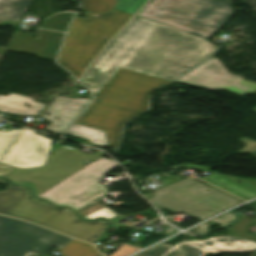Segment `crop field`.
<instances>
[{
	"mask_svg": "<svg viewBox=\"0 0 256 256\" xmlns=\"http://www.w3.org/2000/svg\"><path fill=\"white\" fill-rule=\"evenodd\" d=\"M66 134L88 139L92 144L107 146L104 131L74 123Z\"/></svg>",
	"mask_w": 256,
	"mask_h": 256,
	"instance_id": "18",
	"label": "crop field"
},
{
	"mask_svg": "<svg viewBox=\"0 0 256 256\" xmlns=\"http://www.w3.org/2000/svg\"><path fill=\"white\" fill-rule=\"evenodd\" d=\"M217 46L181 30L135 16L80 81L95 96L122 67L174 80L208 58Z\"/></svg>",
	"mask_w": 256,
	"mask_h": 256,
	"instance_id": "1",
	"label": "crop field"
},
{
	"mask_svg": "<svg viewBox=\"0 0 256 256\" xmlns=\"http://www.w3.org/2000/svg\"><path fill=\"white\" fill-rule=\"evenodd\" d=\"M34 133L23 128L0 131V162L20 169L44 166L53 141Z\"/></svg>",
	"mask_w": 256,
	"mask_h": 256,
	"instance_id": "10",
	"label": "crop field"
},
{
	"mask_svg": "<svg viewBox=\"0 0 256 256\" xmlns=\"http://www.w3.org/2000/svg\"><path fill=\"white\" fill-rule=\"evenodd\" d=\"M76 211L80 213L82 219L89 220H92L96 217H104L106 219H110L117 214L95 200Z\"/></svg>",
	"mask_w": 256,
	"mask_h": 256,
	"instance_id": "19",
	"label": "crop field"
},
{
	"mask_svg": "<svg viewBox=\"0 0 256 256\" xmlns=\"http://www.w3.org/2000/svg\"><path fill=\"white\" fill-rule=\"evenodd\" d=\"M71 238L49 230L0 216V249L14 256L27 252L45 255L55 245L61 248Z\"/></svg>",
	"mask_w": 256,
	"mask_h": 256,
	"instance_id": "9",
	"label": "crop field"
},
{
	"mask_svg": "<svg viewBox=\"0 0 256 256\" xmlns=\"http://www.w3.org/2000/svg\"><path fill=\"white\" fill-rule=\"evenodd\" d=\"M90 100L56 96L40 116L51 122L46 130L61 134ZM46 113H50V115H46ZM54 117L59 118L54 119Z\"/></svg>",
	"mask_w": 256,
	"mask_h": 256,
	"instance_id": "14",
	"label": "crop field"
},
{
	"mask_svg": "<svg viewBox=\"0 0 256 256\" xmlns=\"http://www.w3.org/2000/svg\"><path fill=\"white\" fill-rule=\"evenodd\" d=\"M252 94H256V90H255ZM250 111H252V112L256 113V107H255V108H253V109H251Z\"/></svg>",
	"mask_w": 256,
	"mask_h": 256,
	"instance_id": "31",
	"label": "crop field"
},
{
	"mask_svg": "<svg viewBox=\"0 0 256 256\" xmlns=\"http://www.w3.org/2000/svg\"><path fill=\"white\" fill-rule=\"evenodd\" d=\"M27 103L30 107L25 106ZM44 104L34 102L32 98L9 93L7 97L0 96V111L19 116H27L28 114L37 116L44 108ZM37 110H40L37 112Z\"/></svg>",
	"mask_w": 256,
	"mask_h": 256,
	"instance_id": "16",
	"label": "crop field"
},
{
	"mask_svg": "<svg viewBox=\"0 0 256 256\" xmlns=\"http://www.w3.org/2000/svg\"><path fill=\"white\" fill-rule=\"evenodd\" d=\"M102 153L99 151L95 155H88L78 151V149L63 146L49 156L44 167L26 170L16 168L5 177L10 179L13 184L32 188V194L37 196L84 167L81 164L82 161L86 159L95 160Z\"/></svg>",
	"mask_w": 256,
	"mask_h": 256,
	"instance_id": "7",
	"label": "crop field"
},
{
	"mask_svg": "<svg viewBox=\"0 0 256 256\" xmlns=\"http://www.w3.org/2000/svg\"><path fill=\"white\" fill-rule=\"evenodd\" d=\"M169 82L120 68L76 122L105 130L109 146H116L123 123L146 110L150 94Z\"/></svg>",
	"mask_w": 256,
	"mask_h": 256,
	"instance_id": "2",
	"label": "crop field"
},
{
	"mask_svg": "<svg viewBox=\"0 0 256 256\" xmlns=\"http://www.w3.org/2000/svg\"><path fill=\"white\" fill-rule=\"evenodd\" d=\"M175 82L209 89H225L240 95L249 94L256 89V83L245 81L241 77L230 74L215 57Z\"/></svg>",
	"mask_w": 256,
	"mask_h": 256,
	"instance_id": "11",
	"label": "crop field"
},
{
	"mask_svg": "<svg viewBox=\"0 0 256 256\" xmlns=\"http://www.w3.org/2000/svg\"><path fill=\"white\" fill-rule=\"evenodd\" d=\"M171 245L160 243L146 251H143L135 256H160L162 255Z\"/></svg>",
	"mask_w": 256,
	"mask_h": 256,
	"instance_id": "25",
	"label": "crop field"
},
{
	"mask_svg": "<svg viewBox=\"0 0 256 256\" xmlns=\"http://www.w3.org/2000/svg\"><path fill=\"white\" fill-rule=\"evenodd\" d=\"M147 0H117L115 8L123 12L135 14Z\"/></svg>",
	"mask_w": 256,
	"mask_h": 256,
	"instance_id": "23",
	"label": "crop field"
},
{
	"mask_svg": "<svg viewBox=\"0 0 256 256\" xmlns=\"http://www.w3.org/2000/svg\"><path fill=\"white\" fill-rule=\"evenodd\" d=\"M240 142L245 144L243 148H241L238 153H244V154H249L256 158V141L243 137L241 139H238Z\"/></svg>",
	"mask_w": 256,
	"mask_h": 256,
	"instance_id": "24",
	"label": "crop field"
},
{
	"mask_svg": "<svg viewBox=\"0 0 256 256\" xmlns=\"http://www.w3.org/2000/svg\"><path fill=\"white\" fill-rule=\"evenodd\" d=\"M15 167H11L5 164L0 163V176H5L8 174L10 171H12Z\"/></svg>",
	"mask_w": 256,
	"mask_h": 256,
	"instance_id": "28",
	"label": "crop field"
},
{
	"mask_svg": "<svg viewBox=\"0 0 256 256\" xmlns=\"http://www.w3.org/2000/svg\"><path fill=\"white\" fill-rule=\"evenodd\" d=\"M63 256H102L93 245L73 239L60 250Z\"/></svg>",
	"mask_w": 256,
	"mask_h": 256,
	"instance_id": "20",
	"label": "crop field"
},
{
	"mask_svg": "<svg viewBox=\"0 0 256 256\" xmlns=\"http://www.w3.org/2000/svg\"><path fill=\"white\" fill-rule=\"evenodd\" d=\"M178 167L196 169L212 173L211 175L202 179L222 189H224V187H227L228 189L224 190L232 193L233 195L241 199L248 200L256 197V181H253L251 179H240L233 176H222L219 175L217 172H212L214 169L212 167L195 165L187 162L182 163ZM235 181L238 183H234Z\"/></svg>",
	"mask_w": 256,
	"mask_h": 256,
	"instance_id": "15",
	"label": "crop field"
},
{
	"mask_svg": "<svg viewBox=\"0 0 256 256\" xmlns=\"http://www.w3.org/2000/svg\"><path fill=\"white\" fill-rule=\"evenodd\" d=\"M73 14L70 13H59L49 19H45L42 22L41 28L65 31L68 23L67 19H71Z\"/></svg>",
	"mask_w": 256,
	"mask_h": 256,
	"instance_id": "22",
	"label": "crop field"
},
{
	"mask_svg": "<svg viewBox=\"0 0 256 256\" xmlns=\"http://www.w3.org/2000/svg\"><path fill=\"white\" fill-rule=\"evenodd\" d=\"M115 0H83L81 10L103 13L113 9Z\"/></svg>",
	"mask_w": 256,
	"mask_h": 256,
	"instance_id": "21",
	"label": "crop field"
},
{
	"mask_svg": "<svg viewBox=\"0 0 256 256\" xmlns=\"http://www.w3.org/2000/svg\"><path fill=\"white\" fill-rule=\"evenodd\" d=\"M9 187L0 192V214L8 215L39 224L57 232L92 243L106 227L103 221L83 222L66 208L57 209L32 198L30 190L12 186L7 180L0 179Z\"/></svg>",
	"mask_w": 256,
	"mask_h": 256,
	"instance_id": "3",
	"label": "crop field"
},
{
	"mask_svg": "<svg viewBox=\"0 0 256 256\" xmlns=\"http://www.w3.org/2000/svg\"><path fill=\"white\" fill-rule=\"evenodd\" d=\"M207 226H208V224L204 223V224L186 232V234H188L190 236L202 237V236L206 235Z\"/></svg>",
	"mask_w": 256,
	"mask_h": 256,
	"instance_id": "27",
	"label": "crop field"
},
{
	"mask_svg": "<svg viewBox=\"0 0 256 256\" xmlns=\"http://www.w3.org/2000/svg\"><path fill=\"white\" fill-rule=\"evenodd\" d=\"M198 181H200L202 183H205V182H203L201 180H198ZM205 184H207V183H205ZM207 185H209V184H207ZM209 186H211V185H209ZM211 187H213V186H211ZM213 188H215V187H213ZM215 189H217V188H215ZM217 190H219V189H217ZM219 191H221V190H219ZM221 192H223V191H221ZM223 193H225V192H223ZM225 194H227V193H225ZM227 195H229V194H227ZM229 196H231V195H229ZM231 197H233V196H231ZM233 198H235V197H233ZM235 199H237V198H235ZM237 200H239V199H237ZM239 201H241V200H239ZM241 202H243V201H241Z\"/></svg>",
	"mask_w": 256,
	"mask_h": 256,
	"instance_id": "29",
	"label": "crop field"
},
{
	"mask_svg": "<svg viewBox=\"0 0 256 256\" xmlns=\"http://www.w3.org/2000/svg\"><path fill=\"white\" fill-rule=\"evenodd\" d=\"M39 31V33L36 32L39 39L15 31L7 50L31 53L44 59H54L64 34L47 30Z\"/></svg>",
	"mask_w": 256,
	"mask_h": 256,
	"instance_id": "13",
	"label": "crop field"
},
{
	"mask_svg": "<svg viewBox=\"0 0 256 256\" xmlns=\"http://www.w3.org/2000/svg\"><path fill=\"white\" fill-rule=\"evenodd\" d=\"M115 165L117 164L111 160L100 158L37 197L55 205L66 204L76 210L107 193L96 180Z\"/></svg>",
	"mask_w": 256,
	"mask_h": 256,
	"instance_id": "8",
	"label": "crop field"
},
{
	"mask_svg": "<svg viewBox=\"0 0 256 256\" xmlns=\"http://www.w3.org/2000/svg\"><path fill=\"white\" fill-rule=\"evenodd\" d=\"M222 1L230 2V0H222ZM230 3H231V2H230Z\"/></svg>",
	"mask_w": 256,
	"mask_h": 256,
	"instance_id": "32",
	"label": "crop field"
},
{
	"mask_svg": "<svg viewBox=\"0 0 256 256\" xmlns=\"http://www.w3.org/2000/svg\"><path fill=\"white\" fill-rule=\"evenodd\" d=\"M152 203L203 220L241 202L187 177L156 190Z\"/></svg>",
	"mask_w": 256,
	"mask_h": 256,
	"instance_id": "6",
	"label": "crop field"
},
{
	"mask_svg": "<svg viewBox=\"0 0 256 256\" xmlns=\"http://www.w3.org/2000/svg\"><path fill=\"white\" fill-rule=\"evenodd\" d=\"M85 15L87 20L73 19L57 58L58 63L77 78L111 37L132 17L116 10L97 17Z\"/></svg>",
	"mask_w": 256,
	"mask_h": 256,
	"instance_id": "5",
	"label": "crop field"
},
{
	"mask_svg": "<svg viewBox=\"0 0 256 256\" xmlns=\"http://www.w3.org/2000/svg\"><path fill=\"white\" fill-rule=\"evenodd\" d=\"M0 256H12V255H10L8 253H5V252L0 250Z\"/></svg>",
	"mask_w": 256,
	"mask_h": 256,
	"instance_id": "30",
	"label": "crop field"
},
{
	"mask_svg": "<svg viewBox=\"0 0 256 256\" xmlns=\"http://www.w3.org/2000/svg\"><path fill=\"white\" fill-rule=\"evenodd\" d=\"M236 220H237L236 215L231 212H228V213H225L219 217H216L208 222H217L222 227H226V226L232 224L233 222H235ZM208 222H206V223H208Z\"/></svg>",
	"mask_w": 256,
	"mask_h": 256,
	"instance_id": "26",
	"label": "crop field"
},
{
	"mask_svg": "<svg viewBox=\"0 0 256 256\" xmlns=\"http://www.w3.org/2000/svg\"><path fill=\"white\" fill-rule=\"evenodd\" d=\"M31 0H0V22L20 20Z\"/></svg>",
	"mask_w": 256,
	"mask_h": 256,
	"instance_id": "17",
	"label": "crop field"
},
{
	"mask_svg": "<svg viewBox=\"0 0 256 256\" xmlns=\"http://www.w3.org/2000/svg\"><path fill=\"white\" fill-rule=\"evenodd\" d=\"M233 14L232 4L217 0H150L138 16L209 40Z\"/></svg>",
	"mask_w": 256,
	"mask_h": 256,
	"instance_id": "4",
	"label": "crop field"
},
{
	"mask_svg": "<svg viewBox=\"0 0 256 256\" xmlns=\"http://www.w3.org/2000/svg\"><path fill=\"white\" fill-rule=\"evenodd\" d=\"M226 243H230L226 246ZM256 242L234 236L213 237L205 240L184 241L172 245L162 256H203L206 252H248L255 250Z\"/></svg>",
	"mask_w": 256,
	"mask_h": 256,
	"instance_id": "12",
	"label": "crop field"
}]
</instances>
